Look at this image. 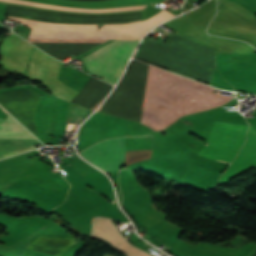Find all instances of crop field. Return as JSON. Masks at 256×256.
Instances as JSON below:
<instances>
[{
    "label": "crop field",
    "mask_w": 256,
    "mask_h": 256,
    "mask_svg": "<svg viewBox=\"0 0 256 256\" xmlns=\"http://www.w3.org/2000/svg\"><path fill=\"white\" fill-rule=\"evenodd\" d=\"M256 164V131L249 127L247 140L239 155L233 160L218 183L228 181Z\"/></svg>",
    "instance_id": "crop-field-9"
},
{
    "label": "crop field",
    "mask_w": 256,
    "mask_h": 256,
    "mask_svg": "<svg viewBox=\"0 0 256 256\" xmlns=\"http://www.w3.org/2000/svg\"><path fill=\"white\" fill-rule=\"evenodd\" d=\"M2 1L30 5V6H37V7L89 11V12L133 10V9L144 8L146 6V5H142V6L106 8V9H85V8L53 6V5L32 3V2H26V1H20V0H2ZM171 16H174V15L168 11L163 10L147 21L129 23V24H119V25H104L100 28V30L148 31L157 23ZM7 18L15 19L32 28L60 29V30H97V25H66V24L46 23V22L10 17V16H7ZM40 29H33L28 39H140L141 36L145 33V32H123V31H60V30H40Z\"/></svg>",
    "instance_id": "crop-field-2"
},
{
    "label": "crop field",
    "mask_w": 256,
    "mask_h": 256,
    "mask_svg": "<svg viewBox=\"0 0 256 256\" xmlns=\"http://www.w3.org/2000/svg\"><path fill=\"white\" fill-rule=\"evenodd\" d=\"M176 33H177V32H175L169 39H171ZM169 39H168V40H169ZM189 39H190V38H189ZM168 40H167V41H168ZM191 40H192V39H191ZM143 41H144V40H143ZM146 41H147V40H146ZM167 41H166V42H167ZM193 41H194V40H193ZM166 42H165V43H166ZM142 43H143V42H142ZM151 43H152V42H151ZM165 43H164V44H165ZM154 44H155V43H154ZM164 44H163V45H164ZM200 44H201V43H200ZM163 45H162V46H163ZM202 45H203V44H202ZM159 46H160V45H159ZM204 46H205V45H204ZM141 47H142V44H141L140 48L138 49V51H137L135 57H137L138 52H139V50L141 49ZM206 47H207V46H206ZM208 48H209V47H208ZM210 49H211V48H210ZM212 50H213V49H212ZM214 59H215V52H214V50H213V68H214ZM212 73H213V69H212ZM211 78H212V75H211ZM210 83H211V81H210Z\"/></svg>",
    "instance_id": "crop-field-12"
},
{
    "label": "crop field",
    "mask_w": 256,
    "mask_h": 256,
    "mask_svg": "<svg viewBox=\"0 0 256 256\" xmlns=\"http://www.w3.org/2000/svg\"><path fill=\"white\" fill-rule=\"evenodd\" d=\"M80 154L110 175L125 166V137L94 144Z\"/></svg>",
    "instance_id": "crop-field-6"
},
{
    "label": "crop field",
    "mask_w": 256,
    "mask_h": 256,
    "mask_svg": "<svg viewBox=\"0 0 256 256\" xmlns=\"http://www.w3.org/2000/svg\"><path fill=\"white\" fill-rule=\"evenodd\" d=\"M108 218H95L93 220L92 235L105 239L123 251L127 256H151L140 248L125 240L117 227Z\"/></svg>",
    "instance_id": "crop-field-8"
},
{
    "label": "crop field",
    "mask_w": 256,
    "mask_h": 256,
    "mask_svg": "<svg viewBox=\"0 0 256 256\" xmlns=\"http://www.w3.org/2000/svg\"><path fill=\"white\" fill-rule=\"evenodd\" d=\"M34 47L16 34L11 35L1 47L3 58L0 65L23 74L28 64L29 54Z\"/></svg>",
    "instance_id": "crop-field-7"
},
{
    "label": "crop field",
    "mask_w": 256,
    "mask_h": 256,
    "mask_svg": "<svg viewBox=\"0 0 256 256\" xmlns=\"http://www.w3.org/2000/svg\"><path fill=\"white\" fill-rule=\"evenodd\" d=\"M35 146H7L0 145V159L6 158L12 155H16L31 149H34Z\"/></svg>",
    "instance_id": "crop-field-11"
},
{
    "label": "crop field",
    "mask_w": 256,
    "mask_h": 256,
    "mask_svg": "<svg viewBox=\"0 0 256 256\" xmlns=\"http://www.w3.org/2000/svg\"><path fill=\"white\" fill-rule=\"evenodd\" d=\"M213 88L150 65L141 123L162 130L181 116L228 102Z\"/></svg>",
    "instance_id": "crop-field-1"
},
{
    "label": "crop field",
    "mask_w": 256,
    "mask_h": 256,
    "mask_svg": "<svg viewBox=\"0 0 256 256\" xmlns=\"http://www.w3.org/2000/svg\"><path fill=\"white\" fill-rule=\"evenodd\" d=\"M0 138L36 139L9 114L7 116V131H0ZM0 139V144L32 145L39 144L38 140Z\"/></svg>",
    "instance_id": "crop-field-10"
},
{
    "label": "crop field",
    "mask_w": 256,
    "mask_h": 256,
    "mask_svg": "<svg viewBox=\"0 0 256 256\" xmlns=\"http://www.w3.org/2000/svg\"><path fill=\"white\" fill-rule=\"evenodd\" d=\"M0 130H6V119H0Z\"/></svg>",
    "instance_id": "crop-field-13"
},
{
    "label": "crop field",
    "mask_w": 256,
    "mask_h": 256,
    "mask_svg": "<svg viewBox=\"0 0 256 256\" xmlns=\"http://www.w3.org/2000/svg\"><path fill=\"white\" fill-rule=\"evenodd\" d=\"M138 41L116 40L84 57V62L90 71L115 84Z\"/></svg>",
    "instance_id": "crop-field-3"
},
{
    "label": "crop field",
    "mask_w": 256,
    "mask_h": 256,
    "mask_svg": "<svg viewBox=\"0 0 256 256\" xmlns=\"http://www.w3.org/2000/svg\"><path fill=\"white\" fill-rule=\"evenodd\" d=\"M247 127L216 121L206 145L198 154L231 162L245 140Z\"/></svg>",
    "instance_id": "crop-field-4"
},
{
    "label": "crop field",
    "mask_w": 256,
    "mask_h": 256,
    "mask_svg": "<svg viewBox=\"0 0 256 256\" xmlns=\"http://www.w3.org/2000/svg\"><path fill=\"white\" fill-rule=\"evenodd\" d=\"M61 64L35 48L25 77L41 81L55 96L72 102L78 92L57 79Z\"/></svg>",
    "instance_id": "crop-field-5"
}]
</instances>
